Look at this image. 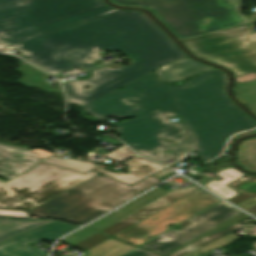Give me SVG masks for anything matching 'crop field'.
<instances>
[{
  "mask_svg": "<svg viewBox=\"0 0 256 256\" xmlns=\"http://www.w3.org/2000/svg\"><path fill=\"white\" fill-rule=\"evenodd\" d=\"M224 73L214 69L183 85L162 84L154 72L84 107L99 120L107 116L135 119L115 125L121 138L137 153L158 162L189 157V145L182 123L169 116H181L191 151L198 150L202 161L218 155L231 134L255 126L226 98ZM136 104L137 107H130ZM176 142L171 147L159 139ZM171 149L165 154L162 151Z\"/></svg>",
  "mask_w": 256,
  "mask_h": 256,
  "instance_id": "1",
  "label": "crop field"
},
{
  "mask_svg": "<svg viewBox=\"0 0 256 256\" xmlns=\"http://www.w3.org/2000/svg\"><path fill=\"white\" fill-rule=\"evenodd\" d=\"M9 46L55 77L73 66L94 67L98 50H120L127 55L131 66L92 69V77L64 85L68 103L79 107L163 65L187 58L144 13L132 10L110 12ZM87 84L90 88L83 89Z\"/></svg>",
  "mask_w": 256,
  "mask_h": 256,
  "instance_id": "2",
  "label": "crop field"
},
{
  "mask_svg": "<svg viewBox=\"0 0 256 256\" xmlns=\"http://www.w3.org/2000/svg\"><path fill=\"white\" fill-rule=\"evenodd\" d=\"M112 2L149 9L179 40L250 23V17L241 13L242 0H112Z\"/></svg>",
  "mask_w": 256,
  "mask_h": 256,
  "instance_id": "3",
  "label": "crop field"
},
{
  "mask_svg": "<svg viewBox=\"0 0 256 256\" xmlns=\"http://www.w3.org/2000/svg\"><path fill=\"white\" fill-rule=\"evenodd\" d=\"M158 182L160 180L152 175L129 187L98 174L29 211L28 214L83 224Z\"/></svg>",
  "mask_w": 256,
  "mask_h": 256,
  "instance_id": "4",
  "label": "crop field"
},
{
  "mask_svg": "<svg viewBox=\"0 0 256 256\" xmlns=\"http://www.w3.org/2000/svg\"><path fill=\"white\" fill-rule=\"evenodd\" d=\"M95 174L40 162L8 183L0 181V209L29 211Z\"/></svg>",
  "mask_w": 256,
  "mask_h": 256,
  "instance_id": "5",
  "label": "crop field"
},
{
  "mask_svg": "<svg viewBox=\"0 0 256 256\" xmlns=\"http://www.w3.org/2000/svg\"><path fill=\"white\" fill-rule=\"evenodd\" d=\"M103 6L102 0H0V38Z\"/></svg>",
  "mask_w": 256,
  "mask_h": 256,
  "instance_id": "6",
  "label": "crop field"
},
{
  "mask_svg": "<svg viewBox=\"0 0 256 256\" xmlns=\"http://www.w3.org/2000/svg\"><path fill=\"white\" fill-rule=\"evenodd\" d=\"M249 27L183 40L197 57L230 69L234 77L256 70V50L246 40Z\"/></svg>",
  "mask_w": 256,
  "mask_h": 256,
  "instance_id": "7",
  "label": "crop field"
},
{
  "mask_svg": "<svg viewBox=\"0 0 256 256\" xmlns=\"http://www.w3.org/2000/svg\"><path fill=\"white\" fill-rule=\"evenodd\" d=\"M202 190L193 191L113 237L138 246L167 230V224L178 223L220 200Z\"/></svg>",
  "mask_w": 256,
  "mask_h": 256,
  "instance_id": "8",
  "label": "crop field"
},
{
  "mask_svg": "<svg viewBox=\"0 0 256 256\" xmlns=\"http://www.w3.org/2000/svg\"><path fill=\"white\" fill-rule=\"evenodd\" d=\"M239 212L241 211L221 201L179 224L178 226L183 229L179 231L169 230L140 247L164 255L212 227L228 220Z\"/></svg>",
  "mask_w": 256,
  "mask_h": 256,
  "instance_id": "9",
  "label": "crop field"
},
{
  "mask_svg": "<svg viewBox=\"0 0 256 256\" xmlns=\"http://www.w3.org/2000/svg\"><path fill=\"white\" fill-rule=\"evenodd\" d=\"M78 226L55 221L30 232L0 243V256H47L27 243L49 240L54 241Z\"/></svg>",
  "mask_w": 256,
  "mask_h": 256,
  "instance_id": "10",
  "label": "crop field"
},
{
  "mask_svg": "<svg viewBox=\"0 0 256 256\" xmlns=\"http://www.w3.org/2000/svg\"><path fill=\"white\" fill-rule=\"evenodd\" d=\"M197 188L176 189L101 230V232L113 236Z\"/></svg>",
  "mask_w": 256,
  "mask_h": 256,
  "instance_id": "11",
  "label": "crop field"
},
{
  "mask_svg": "<svg viewBox=\"0 0 256 256\" xmlns=\"http://www.w3.org/2000/svg\"><path fill=\"white\" fill-rule=\"evenodd\" d=\"M39 160L29 149L0 144V176L7 180L29 169Z\"/></svg>",
  "mask_w": 256,
  "mask_h": 256,
  "instance_id": "12",
  "label": "crop field"
},
{
  "mask_svg": "<svg viewBox=\"0 0 256 256\" xmlns=\"http://www.w3.org/2000/svg\"><path fill=\"white\" fill-rule=\"evenodd\" d=\"M114 10H117V9H113L109 6L99 8V9H96V10H93V11H90L87 13H83V14H80V15H77V16H74L71 18H67V19H64V20H61V21H58L55 23H51V24H48V25H45V26H42L39 28H35V29L29 30V31H26L23 33H19V34H16V35H13V36H10L7 38L0 39V45H9V44H12L15 42H19V41H22V40H25V39H28V38H31L34 36H38V35H41V34H44V33L59 29V28H63V27L90 19L92 17L98 16V15H101V14H104V13H107L110 11H114Z\"/></svg>",
  "mask_w": 256,
  "mask_h": 256,
  "instance_id": "13",
  "label": "crop field"
},
{
  "mask_svg": "<svg viewBox=\"0 0 256 256\" xmlns=\"http://www.w3.org/2000/svg\"><path fill=\"white\" fill-rule=\"evenodd\" d=\"M124 165L128 166L129 172L127 174H123L122 172L118 171L112 173L110 171L104 170L100 167H96L93 169L94 171L100 172L106 176L114 178L118 181L131 185L161 169L164 167L159 166L149 160L142 159L140 157H135L125 163Z\"/></svg>",
  "mask_w": 256,
  "mask_h": 256,
  "instance_id": "14",
  "label": "crop field"
},
{
  "mask_svg": "<svg viewBox=\"0 0 256 256\" xmlns=\"http://www.w3.org/2000/svg\"><path fill=\"white\" fill-rule=\"evenodd\" d=\"M166 193L168 192L156 188L88 226L100 231Z\"/></svg>",
  "mask_w": 256,
  "mask_h": 256,
  "instance_id": "15",
  "label": "crop field"
},
{
  "mask_svg": "<svg viewBox=\"0 0 256 256\" xmlns=\"http://www.w3.org/2000/svg\"><path fill=\"white\" fill-rule=\"evenodd\" d=\"M207 69H210V67L187 58L163 66L156 70V72L159 79L163 82H174L185 79L196 72Z\"/></svg>",
  "mask_w": 256,
  "mask_h": 256,
  "instance_id": "16",
  "label": "crop field"
},
{
  "mask_svg": "<svg viewBox=\"0 0 256 256\" xmlns=\"http://www.w3.org/2000/svg\"><path fill=\"white\" fill-rule=\"evenodd\" d=\"M228 186L241 192L240 194L227 200L233 204H236L250 196L256 199V176L244 175L230 183ZM245 210L252 215H256V204Z\"/></svg>",
  "mask_w": 256,
  "mask_h": 256,
  "instance_id": "17",
  "label": "crop field"
},
{
  "mask_svg": "<svg viewBox=\"0 0 256 256\" xmlns=\"http://www.w3.org/2000/svg\"><path fill=\"white\" fill-rule=\"evenodd\" d=\"M51 221H39V220H3L0 219V241L11 238L43 224Z\"/></svg>",
  "mask_w": 256,
  "mask_h": 256,
  "instance_id": "18",
  "label": "crop field"
},
{
  "mask_svg": "<svg viewBox=\"0 0 256 256\" xmlns=\"http://www.w3.org/2000/svg\"><path fill=\"white\" fill-rule=\"evenodd\" d=\"M216 174L225 179L220 182L214 180L205 184L204 186L209 187L214 193L218 194L226 200L236 195L235 191L226 185L244 174L233 167L217 172Z\"/></svg>",
  "mask_w": 256,
  "mask_h": 256,
  "instance_id": "19",
  "label": "crop field"
},
{
  "mask_svg": "<svg viewBox=\"0 0 256 256\" xmlns=\"http://www.w3.org/2000/svg\"><path fill=\"white\" fill-rule=\"evenodd\" d=\"M135 248L110 238L89 249L85 256H121Z\"/></svg>",
  "mask_w": 256,
  "mask_h": 256,
  "instance_id": "20",
  "label": "crop field"
},
{
  "mask_svg": "<svg viewBox=\"0 0 256 256\" xmlns=\"http://www.w3.org/2000/svg\"><path fill=\"white\" fill-rule=\"evenodd\" d=\"M233 93L246 107L256 114V80L233 84Z\"/></svg>",
  "mask_w": 256,
  "mask_h": 256,
  "instance_id": "21",
  "label": "crop field"
},
{
  "mask_svg": "<svg viewBox=\"0 0 256 256\" xmlns=\"http://www.w3.org/2000/svg\"><path fill=\"white\" fill-rule=\"evenodd\" d=\"M238 161L244 168L256 171V138L241 143Z\"/></svg>",
  "mask_w": 256,
  "mask_h": 256,
  "instance_id": "22",
  "label": "crop field"
},
{
  "mask_svg": "<svg viewBox=\"0 0 256 256\" xmlns=\"http://www.w3.org/2000/svg\"><path fill=\"white\" fill-rule=\"evenodd\" d=\"M239 228H240V223L232 225V226H230L226 229H223V230H221V231H219V232H217L213 235L206 236V237H204V238H202V239H200V240H198V241H196L192 244H189V245H187L184 248L174 252L173 254H171L169 256H182V255L187 254V253H189V252H191V251H193V250H195V249H197V248H199V247H201V246H203V245H205V244H207V243H209L213 240H216V239H218L222 236H225V235H227V234H229V233H231V232H233V231H235Z\"/></svg>",
  "mask_w": 256,
  "mask_h": 256,
  "instance_id": "23",
  "label": "crop field"
},
{
  "mask_svg": "<svg viewBox=\"0 0 256 256\" xmlns=\"http://www.w3.org/2000/svg\"><path fill=\"white\" fill-rule=\"evenodd\" d=\"M43 162L59 165L62 167L74 169L80 172H87L88 170L94 168V164L90 162H81L73 159L61 160L56 157H49L47 159L42 160Z\"/></svg>",
  "mask_w": 256,
  "mask_h": 256,
  "instance_id": "24",
  "label": "crop field"
},
{
  "mask_svg": "<svg viewBox=\"0 0 256 256\" xmlns=\"http://www.w3.org/2000/svg\"><path fill=\"white\" fill-rule=\"evenodd\" d=\"M239 238H241V237L234 234V233H231V234H229L225 237H222V238H220V239H218V240H216V241H214V242H212V243H210V244H208V245H206V246H204V247H202V248H200L196 251H193V252H191V253H189L185 256H198L201 253H204L206 251H209V250H212L214 248L220 247L224 244H227V243L232 242V241H234L236 239H239Z\"/></svg>",
  "mask_w": 256,
  "mask_h": 256,
  "instance_id": "25",
  "label": "crop field"
},
{
  "mask_svg": "<svg viewBox=\"0 0 256 256\" xmlns=\"http://www.w3.org/2000/svg\"><path fill=\"white\" fill-rule=\"evenodd\" d=\"M96 233H97V231H95L93 229H88L85 227V228L63 238L60 241L67 243V244L74 245V244H76V243L96 234Z\"/></svg>",
  "mask_w": 256,
  "mask_h": 256,
  "instance_id": "26",
  "label": "crop field"
},
{
  "mask_svg": "<svg viewBox=\"0 0 256 256\" xmlns=\"http://www.w3.org/2000/svg\"><path fill=\"white\" fill-rule=\"evenodd\" d=\"M108 238L109 237L98 233V234H96V235H94V236H92V237H90V238H88V239H86V240H84V241L74 245V247L85 251V250H87V249H89V248L99 244L100 242H102V241H104V240H106Z\"/></svg>",
  "mask_w": 256,
  "mask_h": 256,
  "instance_id": "27",
  "label": "crop field"
},
{
  "mask_svg": "<svg viewBox=\"0 0 256 256\" xmlns=\"http://www.w3.org/2000/svg\"><path fill=\"white\" fill-rule=\"evenodd\" d=\"M246 218H250V217H249L248 215H246V214H244V213L241 212V213H239L238 215L234 216L233 218H231V219L229 218L230 220H228V221H226V222H224V223L218 225L217 227H215V228H213V229L207 231L206 233L200 235L199 237H201V236H203V235H205V234H207V233H209V232H212V231H214V230H217V229H219V228H222V227H224V226H227V225H229V224H231V223H234V222H237V221L246 219ZM199 237H197V238H199ZM197 238H195V239H197ZM195 239H193V240H195ZM193 240H191V241H193ZM191 241H189V242H191ZM189 242H187V243H189ZM187 243H185V244H187ZM185 244H183V245H185ZM183 245H181V246H183ZM181 246H180V247H181ZM180 247H178V248H180ZM178 248L172 250V251L169 252L168 254L172 253L173 251L177 250ZM168 254H166V255H168ZM166 255H164V256H166Z\"/></svg>",
  "mask_w": 256,
  "mask_h": 256,
  "instance_id": "28",
  "label": "crop field"
},
{
  "mask_svg": "<svg viewBox=\"0 0 256 256\" xmlns=\"http://www.w3.org/2000/svg\"><path fill=\"white\" fill-rule=\"evenodd\" d=\"M135 154L132 153L127 147H124L106 157H109V158H113V159H116V160H119V161H124L132 156H134Z\"/></svg>",
  "mask_w": 256,
  "mask_h": 256,
  "instance_id": "29",
  "label": "crop field"
},
{
  "mask_svg": "<svg viewBox=\"0 0 256 256\" xmlns=\"http://www.w3.org/2000/svg\"><path fill=\"white\" fill-rule=\"evenodd\" d=\"M123 256H158L150 252L136 248L135 250L123 255Z\"/></svg>",
  "mask_w": 256,
  "mask_h": 256,
  "instance_id": "30",
  "label": "crop field"
},
{
  "mask_svg": "<svg viewBox=\"0 0 256 256\" xmlns=\"http://www.w3.org/2000/svg\"><path fill=\"white\" fill-rule=\"evenodd\" d=\"M0 215H2V216H11V217H28L26 212H17V211H3V210H0Z\"/></svg>",
  "mask_w": 256,
  "mask_h": 256,
  "instance_id": "31",
  "label": "crop field"
},
{
  "mask_svg": "<svg viewBox=\"0 0 256 256\" xmlns=\"http://www.w3.org/2000/svg\"><path fill=\"white\" fill-rule=\"evenodd\" d=\"M255 203H256V200L250 197V198H248V199H246V200H244V201H242V202H240L236 205L245 209V208H247V207H249V206H251Z\"/></svg>",
  "mask_w": 256,
  "mask_h": 256,
  "instance_id": "32",
  "label": "crop field"
},
{
  "mask_svg": "<svg viewBox=\"0 0 256 256\" xmlns=\"http://www.w3.org/2000/svg\"><path fill=\"white\" fill-rule=\"evenodd\" d=\"M170 172H171V171H169V170H167V169H164V170H162V171H160V172L154 174V176L160 178V177H162V176H164V175H166V174H168V173H170Z\"/></svg>",
  "mask_w": 256,
  "mask_h": 256,
  "instance_id": "33",
  "label": "crop field"
},
{
  "mask_svg": "<svg viewBox=\"0 0 256 256\" xmlns=\"http://www.w3.org/2000/svg\"><path fill=\"white\" fill-rule=\"evenodd\" d=\"M36 154H37L40 158H43V157L48 156V155H52L51 153H49V152H47V151L36 152Z\"/></svg>",
  "mask_w": 256,
  "mask_h": 256,
  "instance_id": "34",
  "label": "crop field"
},
{
  "mask_svg": "<svg viewBox=\"0 0 256 256\" xmlns=\"http://www.w3.org/2000/svg\"><path fill=\"white\" fill-rule=\"evenodd\" d=\"M104 139L107 140L109 143H112V144H114V145H116V146L122 144V143H120V142H118V141H113V140L109 139V138H108L107 136H105V135H104Z\"/></svg>",
  "mask_w": 256,
  "mask_h": 256,
  "instance_id": "35",
  "label": "crop field"
},
{
  "mask_svg": "<svg viewBox=\"0 0 256 256\" xmlns=\"http://www.w3.org/2000/svg\"><path fill=\"white\" fill-rule=\"evenodd\" d=\"M209 179H211V178H210V177H207V178H205V179L199 181L198 183L201 184V185H203V184L209 182V181H208Z\"/></svg>",
  "mask_w": 256,
  "mask_h": 256,
  "instance_id": "36",
  "label": "crop field"
},
{
  "mask_svg": "<svg viewBox=\"0 0 256 256\" xmlns=\"http://www.w3.org/2000/svg\"><path fill=\"white\" fill-rule=\"evenodd\" d=\"M96 153H98V154H106V153H108V151L102 150V149H97Z\"/></svg>",
  "mask_w": 256,
  "mask_h": 256,
  "instance_id": "37",
  "label": "crop field"
},
{
  "mask_svg": "<svg viewBox=\"0 0 256 256\" xmlns=\"http://www.w3.org/2000/svg\"><path fill=\"white\" fill-rule=\"evenodd\" d=\"M250 40L252 41V43L256 46V35L251 36Z\"/></svg>",
  "mask_w": 256,
  "mask_h": 256,
  "instance_id": "38",
  "label": "crop field"
},
{
  "mask_svg": "<svg viewBox=\"0 0 256 256\" xmlns=\"http://www.w3.org/2000/svg\"><path fill=\"white\" fill-rule=\"evenodd\" d=\"M33 152H36V151H42L41 149H38V150H35V149H32Z\"/></svg>",
  "mask_w": 256,
  "mask_h": 256,
  "instance_id": "39",
  "label": "crop field"
}]
</instances>
